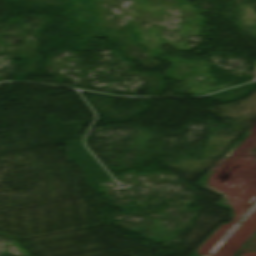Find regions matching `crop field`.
Here are the masks:
<instances>
[{"label":"crop field","instance_id":"1","mask_svg":"<svg viewBox=\"0 0 256 256\" xmlns=\"http://www.w3.org/2000/svg\"><path fill=\"white\" fill-rule=\"evenodd\" d=\"M242 251H256V236L245 246Z\"/></svg>","mask_w":256,"mask_h":256}]
</instances>
